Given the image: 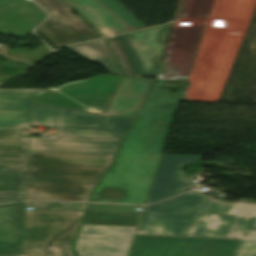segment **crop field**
Segmentation results:
<instances>
[{"label": "crop field", "mask_w": 256, "mask_h": 256, "mask_svg": "<svg viewBox=\"0 0 256 256\" xmlns=\"http://www.w3.org/2000/svg\"><path fill=\"white\" fill-rule=\"evenodd\" d=\"M23 203L0 205V256L21 254Z\"/></svg>", "instance_id": "crop-field-13"}, {"label": "crop field", "mask_w": 256, "mask_h": 256, "mask_svg": "<svg viewBox=\"0 0 256 256\" xmlns=\"http://www.w3.org/2000/svg\"><path fill=\"white\" fill-rule=\"evenodd\" d=\"M69 48L83 57L104 65L111 74L122 75L103 39Z\"/></svg>", "instance_id": "crop-field-14"}, {"label": "crop field", "mask_w": 256, "mask_h": 256, "mask_svg": "<svg viewBox=\"0 0 256 256\" xmlns=\"http://www.w3.org/2000/svg\"><path fill=\"white\" fill-rule=\"evenodd\" d=\"M238 242L136 236L130 256H232Z\"/></svg>", "instance_id": "crop-field-8"}, {"label": "crop field", "mask_w": 256, "mask_h": 256, "mask_svg": "<svg viewBox=\"0 0 256 256\" xmlns=\"http://www.w3.org/2000/svg\"><path fill=\"white\" fill-rule=\"evenodd\" d=\"M172 24L108 38L126 76H155Z\"/></svg>", "instance_id": "crop-field-5"}, {"label": "crop field", "mask_w": 256, "mask_h": 256, "mask_svg": "<svg viewBox=\"0 0 256 256\" xmlns=\"http://www.w3.org/2000/svg\"><path fill=\"white\" fill-rule=\"evenodd\" d=\"M70 244L22 249L25 254L16 256H73Z\"/></svg>", "instance_id": "crop-field-17"}, {"label": "crop field", "mask_w": 256, "mask_h": 256, "mask_svg": "<svg viewBox=\"0 0 256 256\" xmlns=\"http://www.w3.org/2000/svg\"><path fill=\"white\" fill-rule=\"evenodd\" d=\"M113 156L29 152L26 200L87 201Z\"/></svg>", "instance_id": "crop-field-2"}, {"label": "crop field", "mask_w": 256, "mask_h": 256, "mask_svg": "<svg viewBox=\"0 0 256 256\" xmlns=\"http://www.w3.org/2000/svg\"><path fill=\"white\" fill-rule=\"evenodd\" d=\"M134 208H141V206L90 203L88 209L140 212L134 211Z\"/></svg>", "instance_id": "crop-field-23"}, {"label": "crop field", "mask_w": 256, "mask_h": 256, "mask_svg": "<svg viewBox=\"0 0 256 256\" xmlns=\"http://www.w3.org/2000/svg\"><path fill=\"white\" fill-rule=\"evenodd\" d=\"M23 174H0V190L24 191Z\"/></svg>", "instance_id": "crop-field-21"}, {"label": "crop field", "mask_w": 256, "mask_h": 256, "mask_svg": "<svg viewBox=\"0 0 256 256\" xmlns=\"http://www.w3.org/2000/svg\"><path fill=\"white\" fill-rule=\"evenodd\" d=\"M186 80H157L141 111L123 139L165 143ZM179 84V93L168 95L161 87Z\"/></svg>", "instance_id": "crop-field-6"}, {"label": "crop field", "mask_w": 256, "mask_h": 256, "mask_svg": "<svg viewBox=\"0 0 256 256\" xmlns=\"http://www.w3.org/2000/svg\"><path fill=\"white\" fill-rule=\"evenodd\" d=\"M49 11L51 17L37 29L56 47L101 36L62 0H35Z\"/></svg>", "instance_id": "crop-field-10"}, {"label": "crop field", "mask_w": 256, "mask_h": 256, "mask_svg": "<svg viewBox=\"0 0 256 256\" xmlns=\"http://www.w3.org/2000/svg\"><path fill=\"white\" fill-rule=\"evenodd\" d=\"M102 116L57 108V134L30 137L29 151L115 154L121 139L99 126Z\"/></svg>", "instance_id": "crop-field-4"}, {"label": "crop field", "mask_w": 256, "mask_h": 256, "mask_svg": "<svg viewBox=\"0 0 256 256\" xmlns=\"http://www.w3.org/2000/svg\"><path fill=\"white\" fill-rule=\"evenodd\" d=\"M131 121L129 119L105 116L102 127L114 132L118 136H123Z\"/></svg>", "instance_id": "crop-field-22"}, {"label": "crop field", "mask_w": 256, "mask_h": 256, "mask_svg": "<svg viewBox=\"0 0 256 256\" xmlns=\"http://www.w3.org/2000/svg\"><path fill=\"white\" fill-rule=\"evenodd\" d=\"M164 145L123 140L91 201L143 204Z\"/></svg>", "instance_id": "crop-field-3"}, {"label": "crop field", "mask_w": 256, "mask_h": 256, "mask_svg": "<svg viewBox=\"0 0 256 256\" xmlns=\"http://www.w3.org/2000/svg\"><path fill=\"white\" fill-rule=\"evenodd\" d=\"M30 113H0V127H29Z\"/></svg>", "instance_id": "crop-field-20"}, {"label": "crop field", "mask_w": 256, "mask_h": 256, "mask_svg": "<svg viewBox=\"0 0 256 256\" xmlns=\"http://www.w3.org/2000/svg\"><path fill=\"white\" fill-rule=\"evenodd\" d=\"M24 192L0 191V203L23 199Z\"/></svg>", "instance_id": "crop-field-24"}, {"label": "crop field", "mask_w": 256, "mask_h": 256, "mask_svg": "<svg viewBox=\"0 0 256 256\" xmlns=\"http://www.w3.org/2000/svg\"><path fill=\"white\" fill-rule=\"evenodd\" d=\"M56 108L33 106L30 125L55 126Z\"/></svg>", "instance_id": "crop-field-18"}, {"label": "crop field", "mask_w": 256, "mask_h": 256, "mask_svg": "<svg viewBox=\"0 0 256 256\" xmlns=\"http://www.w3.org/2000/svg\"><path fill=\"white\" fill-rule=\"evenodd\" d=\"M28 143L19 129H0V173H26Z\"/></svg>", "instance_id": "crop-field-12"}, {"label": "crop field", "mask_w": 256, "mask_h": 256, "mask_svg": "<svg viewBox=\"0 0 256 256\" xmlns=\"http://www.w3.org/2000/svg\"><path fill=\"white\" fill-rule=\"evenodd\" d=\"M139 214L87 211L83 223L135 226Z\"/></svg>", "instance_id": "crop-field-16"}, {"label": "crop field", "mask_w": 256, "mask_h": 256, "mask_svg": "<svg viewBox=\"0 0 256 256\" xmlns=\"http://www.w3.org/2000/svg\"><path fill=\"white\" fill-rule=\"evenodd\" d=\"M136 234L241 239L233 256H256V204L188 192L147 205Z\"/></svg>", "instance_id": "crop-field-1"}, {"label": "crop field", "mask_w": 256, "mask_h": 256, "mask_svg": "<svg viewBox=\"0 0 256 256\" xmlns=\"http://www.w3.org/2000/svg\"><path fill=\"white\" fill-rule=\"evenodd\" d=\"M41 90L0 89V112H30L31 98Z\"/></svg>", "instance_id": "crop-field-15"}, {"label": "crop field", "mask_w": 256, "mask_h": 256, "mask_svg": "<svg viewBox=\"0 0 256 256\" xmlns=\"http://www.w3.org/2000/svg\"><path fill=\"white\" fill-rule=\"evenodd\" d=\"M84 212L25 211L21 249L71 243Z\"/></svg>", "instance_id": "crop-field-7"}, {"label": "crop field", "mask_w": 256, "mask_h": 256, "mask_svg": "<svg viewBox=\"0 0 256 256\" xmlns=\"http://www.w3.org/2000/svg\"><path fill=\"white\" fill-rule=\"evenodd\" d=\"M86 203L65 202L61 205L56 202H27L26 207H33V210H84Z\"/></svg>", "instance_id": "crop-field-19"}, {"label": "crop field", "mask_w": 256, "mask_h": 256, "mask_svg": "<svg viewBox=\"0 0 256 256\" xmlns=\"http://www.w3.org/2000/svg\"><path fill=\"white\" fill-rule=\"evenodd\" d=\"M136 228L82 224L74 250L78 256H127Z\"/></svg>", "instance_id": "crop-field-9"}, {"label": "crop field", "mask_w": 256, "mask_h": 256, "mask_svg": "<svg viewBox=\"0 0 256 256\" xmlns=\"http://www.w3.org/2000/svg\"><path fill=\"white\" fill-rule=\"evenodd\" d=\"M200 158L194 155L163 154L147 203L188 191L187 188L192 184L181 169Z\"/></svg>", "instance_id": "crop-field-11"}]
</instances>
